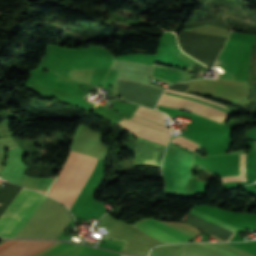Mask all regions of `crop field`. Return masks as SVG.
Returning <instances> with one entry per match:
<instances>
[{
	"mask_svg": "<svg viewBox=\"0 0 256 256\" xmlns=\"http://www.w3.org/2000/svg\"><path fill=\"white\" fill-rule=\"evenodd\" d=\"M96 160L92 156L71 150L63 170L47 195L59 200L70 209L92 173Z\"/></svg>",
	"mask_w": 256,
	"mask_h": 256,
	"instance_id": "8a807250",
	"label": "crop field"
},
{
	"mask_svg": "<svg viewBox=\"0 0 256 256\" xmlns=\"http://www.w3.org/2000/svg\"><path fill=\"white\" fill-rule=\"evenodd\" d=\"M192 157L193 153L169 143L163 163L166 192L192 195Z\"/></svg>",
	"mask_w": 256,
	"mask_h": 256,
	"instance_id": "ac0d7876",
	"label": "crop field"
},
{
	"mask_svg": "<svg viewBox=\"0 0 256 256\" xmlns=\"http://www.w3.org/2000/svg\"><path fill=\"white\" fill-rule=\"evenodd\" d=\"M45 198L37 192L22 188L0 216V238H14Z\"/></svg>",
	"mask_w": 256,
	"mask_h": 256,
	"instance_id": "34b2d1b8",
	"label": "crop field"
},
{
	"mask_svg": "<svg viewBox=\"0 0 256 256\" xmlns=\"http://www.w3.org/2000/svg\"><path fill=\"white\" fill-rule=\"evenodd\" d=\"M113 68L148 75H151L154 69L153 66L144 63L121 60H116ZM115 94L121 96L120 98L154 107L161 92L150 87L118 80Z\"/></svg>",
	"mask_w": 256,
	"mask_h": 256,
	"instance_id": "412701ff",
	"label": "crop field"
},
{
	"mask_svg": "<svg viewBox=\"0 0 256 256\" xmlns=\"http://www.w3.org/2000/svg\"><path fill=\"white\" fill-rule=\"evenodd\" d=\"M130 120L163 131L168 134L170 133V129H165L164 126L155 123L151 120H148L144 117H141L137 114H133ZM165 147V145L158 144L138 137L135 155L136 163L160 165L162 154L164 152Z\"/></svg>",
	"mask_w": 256,
	"mask_h": 256,
	"instance_id": "f4fd0767",
	"label": "crop field"
},
{
	"mask_svg": "<svg viewBox=\"0 0 256 256\" xmlns=\"http://www.w3.org/2000/svg\"><path fill=\"white\" fill-rule=\"evenodd\" d=\"M136 226L139 227V230L156 238L164 244L187 242L192 238V236L186 233L153 219L140 222L136 224Z\"/></svg>",
	"mask_w": 256,
	"mask_h": 256,
	"instance_id": "dd49c442",
	"label": "crop field"
},
{
	"mask_svg": "<svg viewBox=\"0 0 256 256\" xmlns=\"http://www.w3.org/2000/svg\"><path fill=\"white\" fill-rule=\"evenodd\" d=\"M164 95H168V96H171V97L179 98V99H182V100H186V101H189V102L197 103V104H200V105H204V106H207V107H211V108H214V109H218V110L228 112L227 109L225 107L221 106V105L209 102L207 100H204V99H201V98H198V97L186 95L183 92H178V91H173V90L166 89L165 92H164Z\"/></svg>",
	"mask_w": 256,
	"mask_h": 256,
	"instance_id": "e52e79f7",
	"label": "crop field"
},
{
	"mask_svg": "<svg viewBox=\"0 0 256 256\" xmlns=\"http://www.w3.org/2000/svg\"><path fill=\"white\" fill-rule=\"evenodd\" d=\"M199 244H201V245H203V246H205V247H207L209 249H212L214 251H217V252H219L221 254H224L226 256H238V255L233 254V253H231L229 251H226V250H224V249H222L220 247H217V246H215V245H213L211 243H199ZM181 256H205V255H202V254H199V253H196V252H193V251H190V250H187V249L183 248Z\"/></svg>",
	"mask_w": 256,
	"mask_h": 256,
	"instance_id": "d8731c3e",
	"label": "crop field"
},
{
	"mask_svg": "<svg viewBox=\"0 0 256 256\" xmlns=\"http://www.w3.org/2000/svg\"><path fill=\"white\" fill-rule=\"evenodd\" d=\"M188 213H190V214H192V215H195V216H197V217H199V218H201V219H204V220H206V221H208V222H211V223H213V224H215V225H217V226H220V227H222V228H224V229H227V230H229V231H231V232H233V233H235V231L237 230V228H235V227H232V226H230V225H228V224H225V223H223V222H220V221H218V220H216V219H213V218H211V217H208V216H206V215H204V214H201V213H199V212H196V211H194V210H192V209H190V210L188 211Z\"/></svg>",
	"mask_w": 256,
	"mask_h": 256,
	"instance_id": "5a996713",
	"label": "crop field"
},
{
	"mask_svg": "<svg viewBox=\"0 0 256 256\" xmlns=\"http://www.w3.org/2000/svg\"><path fill=\"white\" fill-rule=\"evenodd\" d=\"M254 151H256V142H254Z\"/></svg>",
	"mask_w": 256,
	"mask_h": 256,
	"instance_id": "3316defc",
	"label": "crop field"
},
{
	"mask_svg": "<svg viewBox=\"0 0 256 256\" xmlns=\"http://www.w3.org/2000/svg\"><path fill=\"white\" fill-rule=\"evenodd\" d=\"M120 256H129V255H124V254H121Z\"/></svg>",
	"mask_w": 256,
	"mask_h": 256,
	"instance_id": "28ad6ade",
	"label": "crop field"
}]
</instances>
